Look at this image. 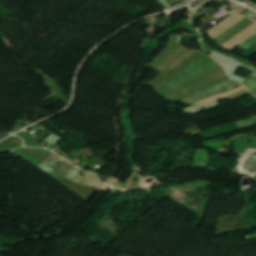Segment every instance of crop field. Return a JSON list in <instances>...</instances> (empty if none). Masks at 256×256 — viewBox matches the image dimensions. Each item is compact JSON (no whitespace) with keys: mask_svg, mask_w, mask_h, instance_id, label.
I'll list each match as a JSON object with an SVG mask.
<instances>
[{"mask_svg":"<svg viewBox=\"0 0 256 256\" xmlns=\"http://www.w3.org/2000/svg\"><path fill=\"white\" fill-rule=\"evenodd\" d=\"M239 85L240 84L238 82L228 79L212 88H209L200 93L194 94V95L186 98L182 102L187 103L189 105H194L195 103H197L207 97L218 95V94L233 90V89L237 88Z\"/></svg>","mask_w":256,"mask_h":256,"instance_id":"ac0d7876","label":"crop field"},{"mask_svg":"<svg viewBox=\"0 0 256 256\" xmlns=\"http://www.w3.org/2000/svg\"><path fill=\"white\" fill-rule=\"evenodd\" d=\"M54 162H51L49 164L43 162L41 165H39L38 167H40L42 170H44L45 172H47L48 174H52L54 172V169L50 168L54 163Z\"/></svg>","mask_w":256,"mask_h":256,"instance_id":"3316defc","label":"crop field"},{"mask_svg":"<svg viewBox=\"0 0 256 256\" xmlns=\"http://www.w3.org/2000/svg\"><path fill=\"white\" fill-rule=\"evenodd\" d=\"M250 239H256V235L250 236Z\"/></svg>","mask_w":256,"mask_h":256,"instance_id":"d1516ede","label":"crop field"},{"mask_svg":"<svg viewBox=\"0 0 256 256\" xmlns=\"http://www.w3.org/2000/svg\"><path fill=\"white\" fill-rule=\"evenodd\" d=\"M243 84L250 92L256 89V79L252 76L248 78Z\"/></svg>","mask_w":256,"mask_h":256,"instance_id":"d8731c3e","label":"crop field"},{"mask_svg":"<svg viewBox=\"0 0 256 256\" xmlns=\"http://www.w3.org/2000/svg\"><path fill=\"white\" fill-rule=\"evenodd\" d=\"M13 152L36 165L50 154L47 150L24 147Z\"/></svg>","mask_w":256,"mask_h":256,"instance_id":"412701ff","label":"crop field"},{"mask_svg":"<svg viewBox=\"0 0 256 256\" xmlns=\"http://www.w3.org/2000/svg\"><path fill=\"white\" fill-rule=\"evenodd\" d=\"M243 89H244V87L241 85V87H239V88H237V89H235V90H233V91H230V92H227V93H224V94L215 96V97L208 98V99H206V100H204V101H202V102H200V103H198V104L206 105V104H208V103H210V102H213V101H215V100H217V99L226 97V96H228V95H231V94L236 93V92H238V91H240V90H243Z\"/></svg>","mask_w":256,"mask_h":256,"instance_id":"dd49c442","label":"crop field"},{"mask_svg":"<svg viewBox=\"0 0 256 256\" xmlns=\"http://www.w3.org/2000/svg\"><path fill=\"white\" fill-rule=\"evenodd\" d=\"M17 135H19L23 138L25 146H34V147H38V148H43L39 143H37L35 140H33L28 135H26L24 133V131L20 132Z\"/></svg>","mask_w":256,"mask_h":256,"instance_id":"e52e79f7","label":"crop field"},{"mask_svg":"<svg viewBox=\"0 0 256 256\" xmlns=\"http://www.w3.org/2000/svg\"><path fill=\"white\" fill-rule=\"evenodd\" d=\"M251 20L245 18L243 19L241 22H239L238 24H236L234 27H232L230 30H228L226 33H224L223 35H221L220 37H218L216 40H214L215 42H217L218 44L221 43L223 40H225L226 38H228L230 35H232L233 33H235L236 31H238L240 28H242L245 24L249 23Z\"/></svg>","mask_w":256,"mask_h":256,"instance_id":"f4fd0767","label":"crop field"},{"mask_svg":"<svg viewBox=\"0 0 256 256\" xmlns=\"http://www.w3.org/2000/svg\"><path fill=\"white\" fill-rule=\"evenodd\" d=\"M80 170L76 169L73 167V169L71 170V172L65 176V178L73 181L75 179V177L79 174Z\"/></svg>","mask_w":256,"mask_h":256,"instance_id":"28ad6ade","label":"crop field"},{"mask_svg":"<svg viewBox=\"0 0 256 256\" xmlns=\"http://www.w3.org/2000/svg\"><path fill=\"white\" fill-rule=\"evenodd\" d=\"M208 55L212 59H214L210 54ZM208 55L189 65L175 79H173L170 83L166 84L165 86L175 89L182 85L184 82L218 66L219 63L214 59L218 63L217 64ZM187 73H189L190 75H186Z\"/></svg>","mask_w":256,"mask_h":256,"instance_id":"8a807250","label":"crop field"},{"mask_svg":"<svg viewBox=\"0 0 256 256\" xmlns=\"http://www.w3.org/2000/svg\"><path fill=\"white\" fill-rule=\"evenodd\" d=\"M254 123H256V116L251 117V118L246 119V120H243L241 122H238L241 129L246 127V126H249L251 124H254Z\"/></svg>","mask_w":256,"mask_h":256,"instance_id":"5a996713","label":"crop field"},{"mask_svg":"<svg viewBox=\"0 0 256 256\" xmlns=\"http://www.w3.org/2000/svg\"><path fill=\"white\" fill-rule=\"evenodd\" d=\"M255 34H256V24H253L248 29H246L245 31H243L242 33H240L239 35L231 39L229 42L224 44L222 47L231 51L234 48H236L237 45L246 41L247 39H249ZM255 43H256V35L250 38L249 40H247L246 42L242 43L241 45H239V48L244 50Z\"/></svg>","mask_w":256,"mask_h":256,"instance_id":"34b2d1b8","label":"crop field"},{"mask_svg":"<svg viewBox=\"0 0 256 256\" xmlns=\"http://www.w3.org/2000/svg\"><path fill=\"white\" fill-rule=\"evenodd\" d=\"M252 94H254L256 96V91L252 92Z\"/></svg>","mask_w":256,"mask_h":256,"instance_id":"22f410ed","label":"crop field"}]
</instances>
